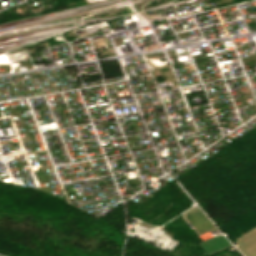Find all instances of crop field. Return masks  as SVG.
Returning <instances> with one entry per match:
<instances>
[{"label": "crop field", "mask_w": 256, "mask_h": 256, "mask_svg": "<svg viewBox=\"0 0 256 256\" xmlns=\"http://www.w3.org/2000/svg\"><path fill=\"white\" fill-rule=\"evenodd\" d=\"M238 248L245 256H256V228L238 240Z\"/></svg>", "instance_id": "1"}]
</instances>
